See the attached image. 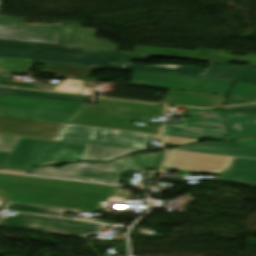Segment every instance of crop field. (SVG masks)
<instances>
[{"label": "crop field", "mask_w": 256, "mask_h": 256, "mask_svg": "<svg viewBox=\"0 0 256 256\" xmlns=\"http://www.w3.org/2000/svg\"><path fill=\"white\" fill-rule=\"evenodd\" d=\"M234 143L256 145V138L255 139L237 140V141H234Z\"/></svg>", "instance_id": "1d83c4d3"}, {"label": "crop field", "mask_w": 256, "mask_h": 256, "mask_svg": "<svg viewBox=\"0 0 256 256\" xmlns=\"http://www.w3.org/2000/svg\"><path fill=\"white\" fill-rule=\"evenodd\" d=\"M190 114V119H180V126L165 124L163 135L218 140L225 138L227 129L222 111L190 108Z\"/></svg>", "instance_id": "3316defc"}, {"label": "crop field", "mask_w": 256, "mask_h": 256, "mask_svg": "<svg viewBox=\"0 0 256 256\" xmlns=\"http://www.w3.org/2000/svg\"><path fill=\"white\" fill-rule=\"evenodd\" d=\"M25 19L0 16V38L56 44L62 25H25Z\"/></svg>", "instance_id": "22f410ed"}, {"label": "crop field", "mask_w": 256, "mask_h": 256, "mask_svg": "<svg viewBox=\"0 0 256 256\" xmlns=\"http://www.w3.org/2000/svg\"><path fill=\"white\" fill-rule=\"evenodd\" d=\"M82 24L64 22L57 44L117 50L119 45L95 38L97 30L80 29Z\"/></svg>", "instance_id": "cbeb9de0"}, {"label": "crop field", "mask_w": 256, "mask_h": 256, "mask_svg": "<svg viewBox=\"0 0 256 256\" xmlns=\"http://www.w3.org/2000/svg\"><path fill=\"white\" fill-rule=\"evenodd\" d=\"M3 209L16 211V212H24V213H32V214H40V215H48V216H56V217H62L65 211L76 212V213L80 212V211H70V210H63V209H57V208L10 203V202H7L6 205L3 207Z\"/></svg>", "instance_id": "92a150f3"}, {"label": "crop field", "mask_w": 256, "mask_h": 256, "mask_svg": "<svg viewBox=\"0 0 256 256\" xmlns=\"http://www.w3.org/2000/svg\"><path fill=\"white\" fill-rule=\"evenodd\" d=\"M86 104L0 94V115L69 124Z\"/></svg>", "instance_id": "e52e79f7"}, {"label": "crop field", "mask_w": 256, "mask_h": 256, "mask_svg": "<svg viewBox=\"0 0 256 256\" xmlns=\"http://www.w3.org/2000/svg\"><path fill=\"white\" fill-rule=\"evenodd\" d=\"M3 202H0V205L2 204Z\"/></svg>", "instance_id": "0bd39190"}, {"label": "crop field", "mask_w": 256, "mask_h": 256, "mask_svg": "<svg viewBox=\"0 0 256 256\" xmlns=\"http://www.w3.org/2000/svg\"><path fill=\"white\" fill-rule=\"evenodd\" d=\"M150 137L149 134L64 124L55 140L147 151Z\"/></svg>", "instance_id": "d8731c3e"}, {"label": "crop field", "mask_w": 256, "mask_h": 256, "mask_svg": "<svg viewBox=\"0 0 256 256\" xmlns=\"http://www.w3.org/2000/svg\"><path fill=\"white\" fill-rule=\"evenodd\" d=\"M232 83L134 71L129 85L226 96Z\"/></svg>", "instance_id": "5a996713"}, {"label": "crop field", "mask_w": 256, "mask_h": 256, "mask_svg": "<svg viewBox=\"0 0 256 256\" xmlns=\"http://www.w3.org/2000/svg\"><path fill=\"white\" fill-rule=\"evenodd\" d=\"M0 2H1V0H0Z\"/></svg>", "instance_id": "b80d0937"}, {"label": "crop field", "mask_w": 256, "mask_h": 256, "mask_svg": "<svg viewBox=\"0 0 256 256\" xmlns=\"http://www.w3.org/2000/svg\"><path fill=\"white\" fill-rule=\"evenodd\" d=\"M247 244L256 245V239L255 238H249Z\"/></svg>", "instance_id": "d32e631a"}, {"label": "crop field", "mask_w": 256, "mask_h": 256, "mask_svg": "<svg viewBox=\"0 0 256 256\" xmlns=\"http://www.w3.org/2000/svg\"><path fill=\"white\" fill-rule=\"evenodd\" d=\"M164 168L218 174L222 182L256 187V160L168 150Z\"/></svg>", "instance_id": "412701ff"}, {"label": "crop field", "mask_w": 256, "mask_h": 256, "mask_svg": "<svg viewBox=\"0 0 256 256\" xmlns=\"http://www.w3.org/2000/svg\"><path fill=\"white\" fill-rule=\"evenodd\" d=\"M38 63L47 64L43 70V73L45 74H61V75L83 77V76H88L90 74L91 69L101 70L98 68H89V67L47 63V62H38Z\"/></svg>", "instance_id": "dafd665d"}, {"label": "crop field", "mask_w": 256, "mask_h": 256, "mask_svg": "<svg viewBox=\"0 0 256 256\" xmlns=\"http://www.w3.org/2000/svg\"><path fill=\"white\" fill-rule=\"evenodd\" d=\"M135 52L185 56V57H195V58H205V59H217V60H227V61L256 64V54H250L248 57H239V56H230L232 53H235V52H228V51H212V50L197 49L196 52H191V51L147 48V47L138 46Z\"/></svg>", "instance_id": "733c2abd"}, {"label": "crop field", "mask_w": 256, "mask_h": 256, "mask_svg": "<svg viewBox=\"0 0 256 256\" xmlns=\"http://www.w3.org/2000/svg\"><path fill=\"white\" fill-rule=\"evenodd\" d=\"M50 233H58V234H66V233H59V232H53V231H49ZM69 235V234H66Z\"/></svg>", "instance_id": "028f5c9d"}, {"label": "crop field", "mask_w": 256, "mask_h": 256, "mask_svg": "<svg viewBox=\"0 0 256 256\" xmlns=\"http://www.w3.org/2000/svg\"><path fill=\"white\" fill-rule=\"evenodd\" d=\"M175 150L256 159V146L225 142L200 143L176 148Z\"/></svg>", "instance_id": "d9b57169"}, {"label": "crop field", "mask_w": 256, "mask_h": 256, "mask_svg": "<svg viewBox=\"0 0 256 256\" xmlns=\"http://www.w3.org/2000/svg\"><path fill=\"white\" fill-rule=\"evenodd\" d=\"M153 140H159V136H156V135H152V138Z\"/></svg>", "instance_id": "5866460e"}, {"label": "crop field", "mask_w": 256, "mask_h": 256, "mask_svg": "<svg viewBox=\"0 0 256 256\" xmlns=\"http://www.w3.org/2000/svg\"><path fill=\"white\" fill-rule=\"evenodd\" d=\"M231 62L212 60L204 78L217 80H241L256 83V65H230Z\"/></svg>", "instance_id": "5142ce71"}, {"label": "crop field", "mask_w": 256, "mask_h": 256, "mask_svg": "<svg viewBox=\"0 0 256 256\" xmlns=\"http://www.w3.org/2000/svg\"><path fill=\"white\" fill-rule=\"evenodd\" d=\"M87 146L19 137L11 153L0 152V168L30 170L35 165L84 161Z\"/></svg>", "instance_id": "f4fd0767"}, {"label": "crop field", "mask_w": 256, "mask_h": 256, "mask_svg": "<svg viewBox=\"0 0 256 256\" xmlns=\"http://www.w3.org/2000/svg\"><path fill=\"white\" fill-rule=\"evenodd\" d=\"M164 115V108L151 104L100 99L98 105L87 104L70 124L105 127L159 135L161 127L130 125Z\"/></svg>", "instance_id": "34b2d1b8"}, {"label": "crop field", "mask_w": 256, "mask_h": 256, "mask_svg": "<svg viewBox=\"0 0 256 256\" xmlns=\"http://www.w3.org/2000/svg\"><path fill=\"white\" fill-rule=\"evenodd\" d=\"M63 124L0 116V151L11 152L19 136L54 140Z\"/></svg>", "instance_id": "28ad6ade"}, {"label": "crop field", "mask_w": 256, "mask_h": 256, "mask_svg": "<svg viewBox=\"0 0 256 256\" xmlns=\"http://www.w3.org/2000/svg\"><path fill=\"white\" fill-rule=\"evenodd\" d=\"M0 226L42 232L53 230L70 233L71 235L85 236L99 231L102 225L18 213L16 217L0 219Z\"/></svg>", "instance_id": "d1516ede"}, {"label": "crop field", "mask_w": 256, "mask_h": 256, "mask_svg": "<svg viewBox=\"0 0 256 256\" xmlns=\"http://www.w3.org/2000/svg\"><path fill=\"white\" fill-rule=\"evenodd\" d=\"M84 220H88V221H94V222H99V223H105V224H111V225H114V223H113V222L102 221V220H97V219L84 218Z\"/></svg>", "instance_id": "120bbe31"}, {"label": "crop field", "mask_w": 256, "mask_h": 256, "mask_svg": "<svg viewBox=\"0 0 256 256\" xmlns=\"http://www.w3.org/2000/svg\"><path fill=\"white\" fill-rule=\"evenodd\" d=\"M0 93L20 95V96H29V97H38V98H47V99H56V100H64V101H73V102H82V103H87V101L89 100V98H86V97L59 95V94L24 91V90H15V89H7V88H0Z\"/></svg>", "instance_id": "00972430"}, {"label": "crop field", "mask_w": 256, "mask_h": 256, "mask_svg": "<svg viewBox=\"0 0 256 256\" xmlns=\"http://www.w3.org/2000/svg\"><path fill=\"white\" fill-rule=\"evenodd\" d=\"M16 87L52 91L56 86L20 82Z\"/></svg>", "instance_id": "eef30255"}, {"label": "crop field", "mask_w": 256, "mask_h": 256, "mask_svg": "<svg viewBox=\"0 0 256 256\" xmlns=\"http://www.w3.org/2000/svg\"><path fill=\"white\" fill-rule=\"evenodd\" d=\"M114 187L1 174L0 193L7 201L98 212Z\"/></svg>", "instance_id": "ac0d7876"}, {"label": "crop field", "mask_w": 256, "mask_h": 256, "mask_svg": "<svg viewBox=\"0 0 256 256\" xmlns=\"http://www.w3.org/2000/svg\"><path fill=\"white\" fill-rule=\"evenodd\" d=\"M152 56L174 57L154 54L131 53L93 48L51 45L24 41L0 39V57L42 60L92 66H104L107 61H119L130 64L131 60H151ZM210 62L211 60L174 57ZM120 69L155 72L161 74L183 75L203 78L207 69H198L177 65H129Z\"/></svg>", "instance_id": "8a807250"}, {"label": "crop field", "mask_w": 256, "mask_h": 256, "mask_svg": "<svg viewBox=\"0 0 256 256\" xmlns=\"http://www.w3.org/2000/svg\"><path fill=\"white\" fill-rule=\"evenodd\" d=\"M133 152L141 151L89 145L85 160L107 162L123 156H127Z\"/></svg>", "instance_id": "214f88e0"}, {"label": "crop field", "mask_w": 256, "mask_h": 256, "mask_svg": "<svg viewBox=\"0 0 256 256\" xmlns=\"http://www.w3.org/2000/svg\"><path fill=\"white\" fill-rule=\"evenodd\" d=\"M255 102H256V100L228 97L224 106L236 105V104H246V103H255Z\"/></svg>", "instance_id": "750c4746"}, {"label": "crop field", "mask_w": 256, "mask_h": 256, "mask_svg": "<svg viewBox=\"0 0 256 256\" xmlns=\"http://www.w3.org/2000/svg\"><path fill=\"white\" fill-rule=\"evenodd\" d=\"M164 155V151L153 154H141L124 158L119 163L110 164L80 162L68 164L61 169L51 166L37 167L29 174L118 184L122 171L137 170L135 169L136 167L140 171L158 169Z\"/></svg>", "instance_id": "dd49c442"}, {"label": "crop field", "mask_w": 256, "mask_h": 256, "mask_svg": "<svg viewBox=\"0 0 256 256\" xmlns=\"http://www.w3.org/2000/svg\"><path fill=\"white\" fill-rule=\"evenodd\" d=\"M35 61L0 58V70L29 73Z\"/></svg>", "instance_id": "a9b5d70f"}, {"label": "crop field", "mask_w": 256, "mask_h": 256, "mask_svg": "<svg viewBox=\"0 0 256 256\" xmlns=\"http://www.w3.org/2000/svg\"><path fill=\"white\" fill-rule=\"evenodd\" d=\"M12 73L0 72V85L14 86L16 82L9 81Z\"/></svg>", "instance_id": "bd1437ed"}, {"label": "crop field", "mask_w": 256, "mask_h": 256, "mask_svg": "<svg viewBox=\"0 0 256 256\" xmlns=\"http://www.w3.org/2000/svg\"><path fill=\"white\" fill-rule=\"evenodd\" d=\"M229 96L256 99V84L236 82Z\"/></svg>", "instance_id": "4177f3b9"}, {"label": "crop field", "mask_w": 256, "mask_h": 256, "mask_svg": "<svg viewBox=\"0 0 256 256\" xmlns=\"http://www.w3.org/2000/svg\"><path fill=\"white\" fill-rule=\"evenodd\" d=\"M78 82L79 80L65 79L53 91L72 93V91L74 90V87L72 86H76Z\"/></svg>", "instance_id": "730fd06b"}, {"label": "crop field", "mask_w": 256, "mask_h": 256, "mask_svg": "<svg viewBox=\"0 0 256 256\" xmlns=\"http://www.w3.org/2000/svg\"><path fill=\"white\" fill-rule=\"evenodd\" d=\"M229 133L226 140L256 136V115L225 112Z\"/></svg>", "instance_id": "bc2a9ffb"}, {"label": "crop field", "mask_w": 256, "mask_h": 256, "mask_svg": "<svg viewBox=\"0 0 256 256\" xmlns=\"http://www.w3.org/2000/svg\"><path fill=\"white\" fill-rule=\"evenodd\" d=\"M226 97L169 91L163 103L200 108L222 106Z\"/></svg>", "instance_id": "4a817a6b"}, {"label": "crop field", "mask_w": 256, "mask_h": 256, "mask_svg": "<svg viewBox=\"0 0 256 256\" xmlns=\"http://www.w3.org/2000/svg\"><path fill=\"white\" fill-rule=\"evenodd\" d=\"M0 201H3V197L0 196Z\"/></svg>", "instance_id": "e1f06a70"}, {"label": "crop field", "mask_w": 256, "mask_h": 256, "mask_svg": "<svg viewBox=\"0 0 256 256\" xmlns=\"http://www.w3.org/2000/svg\"><path fill=\"white\" fill-rule=\"evenodd\" d=\"M163 141L166 142V143L182 145V144H185V143L197 142V141H200V140L163 136Z\"/></svg>", "instance_id": "d3111659"}, {"label": "crop field", "mask_w": 256, "mask_h": 256, "mask_svg": "<svg viewBox=\"0 0 256 256\" xmlns=\"http://www.w3.org/2000/svg\"><path fill=\"white\" fill-rule=\"evenodd\" d=\"M224 109H225V111H230V112L256 114V104L236 106V107H228V108H224Z\"/></svg>", "instance_id": "ae1a2a85"}]
</instances>
